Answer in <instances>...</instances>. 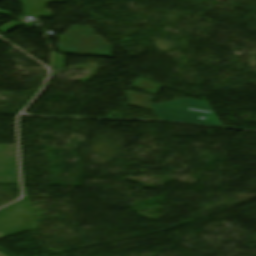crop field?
<instances>
[{
    "mask_svg": "<svg viewBox=\"0 0 256 256\" xmlns=\"http://www.w3.org/2000/svg\"><path fill=\"white\" fill-rule=\"evenodd\" d=\"M160 119L221 125L208 102L184 99L160 105H150Z\"/></svg>",
    "mask_w": 256,
    "mask_h": 256,
    "instance_id": "1",
    "label": "crop field"
},
{
    "mask_svg": "<svg viewBox=\"0 0 256 256\" xmlns=\"http://www.w3.org/2000/svg\"><path fill=\"white\" fill-rule=\"evenodd\" d=\"M96 34L89 26L71 27L66 36H58V51L63 54L112 57V46Z\"/></svg>",
    "mask_w": 256,
    "mask_h": 256,
    "instance_id": "2",
    "label": "crop field"
},
{
    "mask_svg": "<svg viewBox=\"0 0 256 256\" xmlns=\"http://www.w3.org/2000/svg\"><path fill=\"white\" fill-rule=\"evenodd\" d=\"M24 14L27 16L52 17L51 11L45 9L50 3L66 2L65 0H22Z\"/></svg>",
    "mask_w": 256,
    "mask_h": 256,
    "instance_id": "3",
    "label": "crop field"
},
{
    "mask_svg": "<svg viewBox=\"0 0 256 256\" xmlns=\"http://www.w3.org/2000/svg\"><path fill=\"white\" fill-rule=\"evenodd\" d=\"M129 96L130 101L128 102L129 105L145 108L152 110L149 106L150 102L152 101V97L145 96V95H140V94H135L128 92L127 93ZM128 105V106H129Z\"/></svg>",
    "mask_w": 256,
    "mask_h": 256,
    "instance_id": "4",
    "label": "crop field"
},
{
    "mask_svg": "<svg viewBox=\"0 0 256 256\" xmlns=\"http://www.w3.org/2000/svg\"><path fill=\"white\" fill-rule=\"evenodd\" d=\"M133 87L143 90L145 92H148L150 94H153L155 96H157V94L162 88L161 86L154 84L148 80H145L141 77L138 78V80L134 83Z\"/></svg>",
    "mask_w": 256,
    "mask_h": 256,
    "instance_id": "5",
    "label": "crop field"
},
{
    "mask_svg": "<svg viewBox=\"0 0 256 256\" xmlns=\"http://www.w3.org/2000/svg\"><path fill=\"white\" fill-rule=\"evenodd\" d=\"M64 56L57 55L53 53V68L52 69H61L63 68Z\"/></svg>",
    "mask_w": 256,
    "mask_h": 256,
    "instance_id": "6",
    "label": "crop field"
},
{
    "mask_svg": "<svg viewBox=\"0 0 256 256\" xmlns=\"http://www.w3.org/2000/svg\"><path fill=\"white\" fill-rule=\"evenodd\" d=\"M20 26H21V24L15 23V22L13 21V22H11V23H9V24H7V25L1 27V28H0V31L5 32V33H8V32H10V31H12V30H14V29H16V28H18V27H20Z\"/></svg>",
    "mask_w": 256,
    "mask_h": 256,
    "instance_id": "7",
    "label": "crop field"
},
{
    "mask_svg": "<svg viewBox=\"0 0 256 256\" xmlns=\"http://www.w3.org/2000/svg\"><path fill=\"white\" fill-rule=\"evenodd\" d=\"M0 256H5V255H3L2 253H0Z\"/></svg>",
    "mask_w": 256,
    "mask_h": 256,
    "instance_id": "8",
    "label": "crop field"
},
{
    "mask_svg": "<svg viewBox=\"0 0 256 256\" xmlns=\"http://www.w3.org/2000/svg\"><path fill=\"white\" fill-rule=\"evenodd\" d=\"M0 238H3L2 236H0Z\"/></svg>",
    "mask_w": 256,
    "mask_h": 256,
    "instance_id": "9",
    "label": "crop field"
},
{
    "mask_svg": "<svg viewBox=\"0 0 256 256\" xmlns=\"http://www.w3.org/2000/svg\"><path fill=\"white\" fill-rule=\"evenodd\" d=\"M8 12V11H7ZM10 13H12V12H10Z\"/></svg>",
    "mask_w": 256,
    "mask_h": 256,
    "instance_id": "10",
    "label": "crop field"
}]
</instances>
